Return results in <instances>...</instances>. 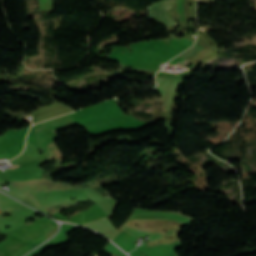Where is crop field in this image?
<instances>
[{"label": "crop field", "instance_id": "crop-field-1", "mask_svg": "<svg viewBox=\"0 0 256 256\" xmlns=\"http://www.w3.org/2000/svg\"><path fill=\"white\" fill-rule=\"evenodd\" d=\"M198 44L196 43L193 47L189 48L188 50H186L185 52H183L182 54H180L177 57H182L184 54H186L187 52H189L190 50H192L194 47H196ZM206 51L204 48H202L200 45L197 46L195 49H193L192 51H190L189 53H187L185 56H183L181 59L186 60L187 58H190L192 56H195L201 52Z\"/></svg>", "mask_w": 256, "mask_h": 256}]
</instances>
